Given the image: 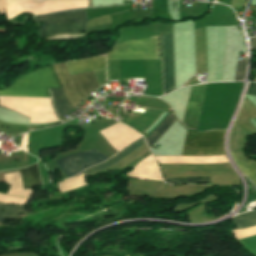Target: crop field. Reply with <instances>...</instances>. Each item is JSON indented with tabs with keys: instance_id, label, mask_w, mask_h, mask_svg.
<instances>
[{
	"instance_id": "1",
	"label": "crop field",
	"mask_w": 256,
	"mask_h": 256,
	"mask_svg": "<svg viewBox=\"0 0 256 256\" xmlns=\"http://www.w3.org/2000/svg\"><path fill=\"white\" fill-rule=\"evenodd\" d=\"M60 87L51 68L17 78L14 85L0 91L1 96L50 97L47 88Z\"/></svg>"
},
{
	"instance_id": "2",
	"label": "crop field",
	"mask_w": 256,
	"mask_h": 256,
	"mask_svg": "<svg viewBox=\"0 0 256 256\" xmlns=\"http://www.w3.org/2000/svg\"><path fill=\"white\" fill-rule=\"evenodd\" d=\"M35 19L37 22H43L42 37L84 32L87 24L85 9H73L44 16H36Z\"/></svg>"
},
{
	"instance_id": "3",
	"label": "crop field",
	"mask_w": 256,
	"mask_h": 256,
	"mask_svg": "<svg viewBox=\"0 0 256 256\" xmlns=\"http://www.w3.org/2000/svg\"><path fill=\"white\" fill-rule=\"evenodd\" d=\"M52 68L73 109L76 108L81 103V101H83V98L85 96H87L88 94H90L91 92L99 88L93 72L70 76L75 86V89L81 99L80 101L74 89V86L72 84V81L69 77V74L65 68V64L64 63L59 64V65L53 66Z\"/></svg>"
},
{
	"instance_id": "4",
	"label": "crop field",
	"mask_w": 256,
	"mask_h": 256,
	"mask_svg": "<svg viewBox=\"0 0 256 256\" xmlns=\"http://www.w3.org/2000/svg\"><path fill=\"white\" fill-rule=\"evenodd\" d=\"M225 130L215 132L187 131L183 156H214L225 155Z\"/></svg>"
},
{
	"instance_id": "5",
	"label": "crop field",
	"mask_w": 256,
	"mask_h": 256,
	"mask_svg": "<svg viewBox=\"0 0 256 256\" xmlns=\"http://www.w3.org/2000/svg\"><path fill=\"white\" fill-rule=\"evenodd\" d=\"M48 1H90V0H6V2H48ZM90 7V2H48V3H6V16L9 19L28 11L44 14L71 8Z\"/></svg>"
},
{
	"instance_id": "6",
	"label": "crop field",
	"mask_w": 256,
	"mask_h": 256,
	"mask_svg": "<svg viewBox=\"0 0 256 256\" xmlns=\"http://www.w3.org/2000/svg\"><path fill=\"white\" fill-rule=\"evenodd\" d=\"M106 59H160L159 36L138 41H126L113 47Z\"/></svg>"
},
{
	"instance_id": "7",
	"label": "crop field",
	"mask_w": 256,
	"mask_h": 256,
	"mask_svg": "<svg viewBox=\"0 0 256 256\" xmlns=\"http://www.w3.org/2000/svg\"><path fill=\"white\" fill-rule=\"evenodd\" d=\"M78 161L82 165L86 167H91L93 165H96L98 163H101L105 161L106 158L105 156L101 155L95 150L92 151H87L83 153H79L76 155L69 156L67 158H64L62 160L57 161L58 166L61 168V170L67 174L69 177L79 173L80 171L86 169L82 165L76 163L74 161Z\"/></svg>"
},
{
	"instance_id": "8",
	"label": "crop field",
	"mask_w": 256,
	"mask_h": 256,
	"mask_svg": "<svg viewBox=\"0 0 256 256\" xmlns=\"http://www.w3.org/2000/svg\"><path fill=\"white\" fill-rule=\"evenodd\" d=\"M164 94L175 89L173 33L162 36Z\"/></svg>"
},
{
	"instance_id": "9",
	"label": "crop field",
	"mask_w": 256,
	"mask_h": 256,
	"mask_svg": "<svg viewBox=\"0 0 256 256\" xmlns=\"http://www.w3.org/2000/svg\"><path fill=\"white\" fill-rule=\"evenodd\" d=\"M205 86L206 84L192 86L191 89L187 113L184 122V125L191 130H196L197 128Z\"/></svg>"
},
{
	"instance_id": "10",
	"label": "crop field",
	"mask_w": 256,
	"mask_h": 256,
	"mask_svg": "<svg viewBox=\"0 0 256 256\" xmlns=\"http://www.w3.org/2000/svg\"><path fill=\"white\" fill-rule=\"evenodd\" d=\"M70 75L103 70L106 68L105 56L79 60L74 62L65 63Z\"/></svg>"
},
{
	"instance_id": "11",
	"label": "crop field",
	"mask_w": 256,
	"mask_h": 256,
	"mask_svg": "<svg viewBox=\"0 0 256 256\" xmlns=\"http://www.w3.org/2000/svg\"><path fill=\"white\" fill-rule=\"evenodd\" d=\"M143 144H145L144 138L141 139L140 141H138L137 143H135L134 145H132L131 147H129L128 149H126L125 151H123L122 153H120L119 155H117L116 157H114L113 159H111L110 161H108V162L106 161L96 167H93L91 169L83 171L84 175L87 176L95 171H98L100 169H103L105 167H108L110 165H113V164L123 160L125 157L130 155L132 152H134L136 149L141 147Z\"/></svg>"
},
{
	"instance_id": "12",
	"label": "crop field",
	"mask_w": 256,
	"mask_h": 256,
	"mask_svg": "<svg viewBox=\"0 0 256 256\" xmlns=\"http://www.w3.org/2000/svg\"><path fill=\"white\" fill-rule=\"evenodd\" d=\"M20 173L24 189L34 188L42 185L36 164L31 167L21 169Z\"/></svg>"
},
{
	"instance_id": "13",
	"label": "crop field",
	"mask_w": 256,
	"mask_h": 256,
	"mask_svg": "<svg viewBox=\"0 0 256 256\" xmlns=\"http://www.w3.org/2000/svg\"><path fill=\"white\" fill-rule=\"evenodd\" d=\"M51 92H52L55 108L59 117L66 114L70 110H72V107L66 100L65 95L61 88L53 89L51 90Z\"/></svg>"
},
{
	"instance_id": "14",
	"label": "crop field",
	"mask_w": 256,
	"mask_h": 256,
	"mask_svg": "<svg viewBox=\"0 0 256 256\" xmlns=\"http://www.w3.org/2000/svg\"><path fill=\"white\" fill-rule=\"evenodd\" d=\"M176 121L172 112L166 119L153 131V133L146 139L149 148L164 134V132Z\"/></svg>"
},
{
	"instance_id": "15",
	"label": "crop field",
	"mask_w": 256,
	"mask_h": 256,
	"mask_svg": "<svg viewBox=\"0 0 256 256\" xmlns=\"http://www.w3.org/2000/svg\"><path fill=\"white\" fill-rule=\"evenodd\" d=\"M238 229L256 225V211L245 212L233 218Z\"/></svg>"
},
{
	"instance_id": "16",
	"label": "crop field",
	"mask_w": 256,
	"mask_h": 256,
	"mask_svg": "<svg viewBox=\"0 0 256 256\" xmlns=\"http://www.w3.org/2000/svg\"><path fill=\"white\" fill-rule=\"evenodd\" d=\"M1 208H3L4 211L0 213V223H3L6 219L15 218L25 211V206L19 205H2L0 203V210Z\"/></svg>"
},
{
	"instance_id": "17",
	"label": "crop field",
	"mask_w": 256,
	"mask_h": 256,
	"mask_svg": "<svg viewBox=\"0 0 256 256\" xmlns=\"http://www.w3.org/2000/svg\"><path fill=\"white\" fill-rule=\"evenodd\" d=\"M236 164L255 184H256V162L251 161L249 164L235 158L234 154L231 153Z\"/></svg>"
},
{
	"instance_id": "18",
	"label": "crop field",
	"mask_w": 256,
	"mask_h": 256,
	"mask_svg": "<svg viewBox=\"0 0 256 256\" xmlns=\"http://www.w3.org/2000/svg\"><path fill=\"white\" fill-rule=\"evenodd\" d=\"M169 184H180V183H211L210 178L206 179H173V180H164Z\"/></svg>"
},
{
	"instance_id": "19",
	"label": "crop field",
	"mask_w": 256,
	"mask_h": 256,
	"mask_svg": "<svg viewBox=\"0 0 256 256\" xmlns=\"http://www.w3.org/2000/svg\"><path fill=\"white\" fill-rule=\"evenodd\" d=\"M246 59L238 61L235 81L243 80L246 68Z\"/></svg>"
},
{
	"instance_id": "20",
	"label": "crop field",
	"mask_w": 256,
	"mask_h": 256,
	"mask_svg": "<svg viewBox=\"0 0 256 256\" xmlns=\"http://www.w3.org/2000/svg\"><path fill=\"white\" fill-rule=\"evenodd\" d=\"M247 94L256 95V83H250Z\"/></svg>"
},
{
	"instance_id": "21",
	"label": "crop field",
	"mask_w": 256,
	"mask_h": 256,
	"mask_svg": "<svg viewBox=\"0 0 256 256\" xmlns=\"http://www.w3.org/2000/svg\"><path fill=\"white\" fill-rule=\"evenodd\" d=\"M251 48L256 49V37L250 39Z\"/></svg>"
},
{
	"instance_id": "22",
	"label": "crop field",
	"mask_w": 256,
	"mask_h": 256,
	"mask_svg": "<svg viewBox=\"0 0 256 256\" xmlns=\"http://www.w3.org/2000/svg\"><path fill=\"white\" fill-rule=\"evenodd\" d=\"M5 0H0V14H3Z\"/></svg>"
}]
</instances>
